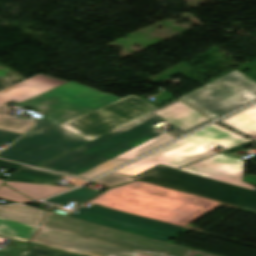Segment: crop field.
<instances>
[{
    "label": "crop field",
    "instance_id": "10",
    "mask_svg": "<svg viewBox=\"0 0 256 256\" xmlns=\"http://www.w3.org/2000/svg\"><path fill=\"white\" fill-rule=\"evenodd\" d=\"M79 256H151L109 244L39 228L29 242Z\"/></svg>",
    "mask_w": 256,
    "mask_h": 256
},
{
    "label": "crop field",
    "instance_id": "27",
    "mask_svg": "<svg viewBox=\"0 0 256 256\" xmlns=\"http://www.w3.org/2000/svg\"><path fill=\"white\" fill-rule=\"evenodd\" d=\"M0 89H1V87H0Z\"/></svg>",
    "mask_w": 256,
    "mask_h": 256
},
{
    "label": "crop field",
    "instance_id": "13",
    "mask_svg": "<svg viewBox=\"0 0 256 256\" xmlns=\"http://www.w3.org/2000/svg\"><path fill=\"white\" fill-rule=\"evenodd\" d=\"M218 123L256 140V103Z\"/></svg>",
    "mask_w": 256,
    "mask_h": 256
},
{
    "label": "crop field",
    "instance_id": "24",
    "mask_svg": "<svg viewBox=\"0 0 256 256\" xmlns=\"http://www.w3.org/2000/svg\"><path fill=\"white\" fill-rule=\"evenodd\" d=\"M0 167L16 171L19 167H21V165H18V164L12 163V162H8V161H4V160H0Z\"/></svg>",
    "mask_w": 256,
    "mask_h": 256
},
{
    "label": "crop field",
    "instance_id": "17",
    "mask_svg": "<svg viewBox=\"0 0 256 256\" xmlns=\"http://www.w3.org/2000/svg\"><path fill=\"white\" fill-rule=\"evenodd\" d=\"M6 183L10 187L22 192L23 194L35 200L69 189L65 187L34 185V184H26V183H18V182H10V181H6Z\"/></svg>",
    "mask_w": 256,
    "mask_h": 256
},
{
    "label": "crop field",
    "instance_id": "11",
    "mask_svg": "<svg viewBox=\"0 0 256 256\" xmlns=\"http://www.w3.org/2000/svg\"><path fill=\"white\" fill-rule=\"evenodd\" d=\"M67 81L36 75L0 91V129L23 134L34 123L6 115L11 109L6 106L9 101L21 103L31 97L48 91Z\"/></svg>",
    "mask_w": 256,
    "mask_h": 256
},
{
    "label": "crop field",
    "instance_id": "25",
    "mask_svg": "<svg viewBox=\"0 0 256 256\" xmlns=\"http://www.w3.org/2000/svg\"><path fill=\"white\" fill-rule=\"evenodd\" d=\"M189 256H211V255H207V254H203V253L193 251Z\"/></svg>",
    "mask_w": 256,
    "mask_h": 256
},
{
    "label": "crop field",
    "instance_id": "6",
    "mask_svg": "<svg viewBox=\"0 0 256 256\" xmlns=\"http://www.w3.org/2000/svg\"><path fill=\"white\" fill-rule=\"evenodd\" d=\"M181 99L216 119L256 99V82L234 70Z\"/></svg>",
    "mask_w": 256,
    "mask_h": 256
},
{
    "label": "crop field",
    "instance_id": "26",
    "mask_svg": "<svg viewBox=\"0 0 256 256\" xmlns=\"http://www.w3.org/2000/svg\"><path fill=\"white\" fill-rule=\"evenodd\" d=\"M2 184V181L0 180V185Z\"/></svg>",
    "mask_w": 256,
    "mask_h": 256
},
{
    "label": "crop field",
    "instance_id": "15",
    "mask_svg": "<svg viewBox=\"0 0 256 256\" xmlns=\"http://www.w3.org/2000/svg\"><path fill=\"white\" fill-rule=\"evenodd\" d=\"M61 177L63 176L24 166L18 173L13 174L8 180L34 184L53 185Z\"/></svg>",
    "mask_w": 256,
    "mask_h": 256
},
{
    "label": "crop field",
    "instance_id": "5",
    "mask_svg": "<svg viewBox=\"0 0 256 256\" xmlns=\"http://www.w3.org/2000/svg\"><path fill=\"white\" fill-rule=\"evenodd\" d=\"M43 228L69 233L156 256H188L192 250L146 239L127 232L47 212Z\"/></svg>",
    "mask_w": 256,
    "mask_h": 256
},
{
    "label": "crop field",
    "instance_id": "3",
    "mask_svg": "<svg viewBox=\"0 0 256 256\" xmlns=\"http://www.w3.org/2000/svg\"><path fill=\"white\" fill-rule=\"evenodd\" d=\"M89 202L181 226L221 204L141 180L111 188Z\"/></svg>",
    "mask_w": 256,
    "mask_h": 256
},
{
    "label": "crop field",
    "instance_id": "14",
    "mask_svg": "<svg viewBox=\"0 0 256 256\" xmlns=\"http://www.w3.org/2000/svg\"><path fill=\"white\" fill-rule=\"evenodd\" d=\"M44 210L25 205L0 207V217L38 226Z\"/></svg>",
    "mask_w": 256,
    "mask_h": 256
},
{
    "label": "crop field",
    "instance_id": "9",
    "mask_svg": "<svg viewBox=\"0 0 256 256\" xmlns=\"http://www.w3.org/2000/svg\"><path fill=\"white\" fill-rule=\"evenodd\" d=\"M78 214L70 217L124 230L143 237L166 242L184 228L140 218L97 206L77 209Z\"/></svg>",
    "mask_w": 256,
    "mask_h": 256
},
{
    "label": "crop field",
    "instance_id": "19",
    "mask_svg": "<svg viewBox=\"0 0 256 256\" xmlns=\"http://www.w3.org/2000/svg\"><path fill=\"white\" fill-rule=\"evenodd\" d=\"M23 80L18 74L12 71L10 68L0 64V86L2 88L15 84Z\"/></svg>",
    "mask_w": 256,
    "mask_h": 256
},
{
    "label": "crop field",
    "instance_id": "22",
    "mask_svg": "<svg viewBox=\"0 0 256 256\" xmlns=\"http://www.w3.org/2000/svg\"><path fill=\"white\" fill-rule=\"evenodd\" d=\"M0 197L9 199V200H13V201H17V202L32 201L29 198L15 192L14 190H12L4 185L0 187Z\"/></svg>",
    "mask_w": 256,
    "mask_h": 256
},
{
    "label": "crop field",
    "instance_id": "21",
    "mask_svg": "<svg viewBox=\"0 0 256 256\" xmlns=\"http://www.w3.org/2000/svg\"><path fill=\"white\" fill-rule=\"evenodd\" d=\"M131 180H135V179L111 173L103 178H100V179L94 181V182L101 183L107 187H113V186H116V185H119V184H122V183H125L128 181H131Z\"/></svg>",
    "mask_w": 256,
    "mask_h": 256
},
{
    "label": "crop field",
    "instance_id": "20",
    "mask_svg": "<svg viewBox=\"0 0 256 256\" xmlns=\"http://www.w3.org/2000/svg\"><path fill=\"white\" fill-rule=\"evenodd\" d=\"M18 256H75V255H71V254H67V253H63V252H59L52 249L34 245L33 247L24 251Z\"/></svg>",
    "mask_w": 256,
    "mask_h": 256
},
{
    "label": "crop field",
    "instance_id": "16",
    "mask_svg": "<svg viewBox=\"0 0 256 256\" xmlns=\"http://www.w3.org/2000/svg\"><path fill=\"white\" fill-rule=\"evenodd\" d=\"M38 227L11 222L0 218V235L27 242Z\"/></svg>",
    "mask_w": 256,
    "mask_h": 256
},
{
    "label": "crop field",
    "instance_id": "2",
    "mask_svg": "<svg viewBox=\"0 0 256 256\" xmlns=\"http://www.w3.org/2000/svg\"><path fill=\"white\" fill-rule=\"evenodd\" d=\"M119 98L67 82L18 106L47 113L0 157L37 166L85 141L59 125Z\"/></svg>",
    "mask_w": 256,
    "mask_h": 256
},
{
    "label": "crop field",
    "instance_id": "18",
    "mask_svg": "<svg viewBox=\"0 0 256 256\" xmlns=\"http://www.w3.org/2000/svg\"><path fill=\"white\" fill-rule=\"evenodd\" d=\"M97 194H98V192H94V191H91L84 187H81L79 189L73 190L66 194L48 199V200H46V202L53 203V204H56V203L66 204V203L70 202L71 200H76L82 204L83 202L96 196Z\"/></svg>",
    "mask_w": 256,
    "mask_h": 256
},
{
    "label": "crop field",
    "instance_id": "23",
    "mask_svg": "<svg viewBox=\"0 0 256 256\" xmlns=\"http://www.w3.org/2000/svg\"><path fill=\"white\" fill-rule=\"evenodd\" d=\"M20 135L19 134H13V133H7L0 131V145L8 142L12 143L16 138H18Z\"/></svg>",
    "mask_w": 256,
    "mask_h": 256
},
{
    "label": "crop field",
    "instance_id": "12",
    "mask_svg": "<svg viewBox=\"0 0 256 256\" xmlns=\"http://www.w3.org/2000/svg\"><path fill=\"white\" fill-rule=\"evenodd\" d=\"M243 167V162L216 155L178 170L256 190V187L242 182Z\"/></svg>",
    "mask_w": 256,
    "mask_h": 256
},
{
    "label": "crop field",
    "instance_id": "1",
    "mask_svg": "<svg viewBox=\"0 0 256 256\" xmlns=\"http://www.w3.org/2000/svg\"><path fill=\"white\" fill-rule=\"evenodd\" d=\"M181 102L175 100L151 111L39 168L90 180L181 136L172 131L163 133L152 126L161 120L171 123L182 134L211 121Z\"/></svg>",
    "mask_w": 256,
    "mask_h": 256
},
{
    "label": "crop field",
    "instance_id": "4",
    "mask_svg": "<svg viewBox=\"0 0 256 256\" xmlns=\"http://www.w3.org/2000/svg\"><path fill=\"white\" fill-rule=\"evenodd\" d=\"M247 140L248 139L244 137L212 124L116 172L135 176L158 164L179 168L196 160L218 153L210 150L217 145L226 149Z\"/></svg>",
    "mask_w": 256,
    "mask_h": 256
},
{
    "label": "crop field",
    "instance_id": "7",
    "mask_svg": "<svg viewBox=\"0 0 256 256\" xmlns=\"http://www.w3.org/2000/svg\"><path fill=\"white\" fill-rule=\"evenodd\" d=\"M138 178L256 211V191L159 166Z\"/></svg>",
    "mask_w": 256,
    "mask_h": 256
},
{
    "label": "crop field",
    "instance_id": "8",
    "mask_svg": "<svg viewBox=\"0 0 256 256\" xmlns=\"http://www.w3.org/2000/svg\"><path fill=\"white\" fill-rule=\"evenodd\" d=\"M133 101L136 103H132ZM156 108L132 95L61 126L88 140H92Z\"/></svg>",
    "mask_w": 256,
    "mask_h": 256
}]
</instances>
